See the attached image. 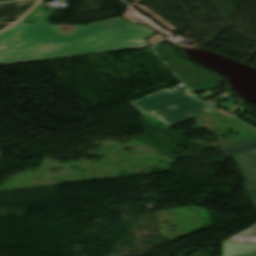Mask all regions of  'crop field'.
<instances>
[{
    "label": "crop field",
    "instance_id": "obj_1",
    "mask_svg": "<svg viewBox=\"0 0 256 256\" xmlns=\"http://www.w3.org/2000/svg\"><path fill=\"white\" fill-rule=\"evenodd\" d=\"M152 34L122 18L88 26L20 22L0 34V66L146 47Z\"/></svg>",
    "mask_w": 256,
    "mask_h": 256
},
{
    "label": "crop field",
    "instance_id": "obj_2",
    "mask_svg": "<svg viewBox=\"0 0 256 256\" xmlns=\"http://www.w3.org/2000/svg\"><path fill=\"white\" fill-rule=\"evenodd\" d=\"M129 105L143 116L151 114L169 127L191 119V114L202 109L208 112L216 109L192 96L187 89L171 92L168 88Z\"/></svg>",
    "mask_w": 256,
    "mask_h": 256
},
{
    "label": "crop field",
    "instance_id": "obj_3",
    "mask_svg": "<svg viewBox=\"0 0 256 256\" xmlns=\"http://www.w3.org/2000/svg\"><path fill=\"white\" fill-rule=\"evenodd\" d=\"M234 160L247 181L243 187L256 208V151L234 157Z\"/></svg>",
    "mask_w": 256,
    "mask_h": 256
},
{
    "label": "crop field",
    "instance_id": "obj_4",
    "mask_svg": "<svg viewBox=\"0 0 256 256\" xmlns=\"http://www.w3.org/2000/svg\"><path fill=\"white\" fill-rule=\"evenodd\" d=\"M37 0L0 4V21L20 18Z\"/></svg>",
    "mask_w": 256,
    "mask_h": 256
},
{
    "label": "crop field",
    "instance_id": "obj_5",
    "mask_svg": "<svg viewBox=\"0 0 256 256\" xmlns=\"http://www.w3.org/2000/svg\"><path fill=\"white\" fill-rule=\"evenodd\" d=\"M223 255L222 256H236L242 253H246L256 249V246L238 244V243H225L222 244Z\"/></svg>",
    "mask_w": 256,
    "mask_h": 256
},
{
    "label": "crop field",
    "instance_id": "obj_6",
    "mask_svg": "<svg viewBox=\"0 0 256 256\" xmlns=\"http://www.w3.org/2000/svg\"><path fill=\"white\" fill-rule=\"evenodd\" d=\"M248 240L253 242V245H256V224L238 233L237 235L227 239L226 241H238L245 243Z\"/></svg>",
    "mask_w": 256,
    "mask_h": 256
},
{
    "label": "crop field",
    "instance_id": "obj_7",
    "mask_svg": "<svg viewBox=\"0 0 256 256\" xmlns=\"http://www.w3.org/2000/svg\"><path fill=\"white\" fill-rule=\"evenodd\" d=\"M253 149H256V141H252V142H249V143H245V144H241V145L221 149L220 151L227 158H229V157H232V156H235L237 154H240V153H243V152H246V151H249V150H253Z\"/></svg>",
    "mask_w": 256,
    "mask_h": 256
},
{
    "label": "crop field",
    "instance_id": "obj_8",
    "mask_svg": "<svg viewBox=\"0 0 256 256\" xmlns=\"http://www.w3.org/2000/svg\"><path fill=\"white\" fill-rule=\"evenodd\" d=\"M42 5H39L35 10H33L30 14L33 16L28 19L26 22L29 23H36V22H43L45 23L52 15L53 13L51 11H48L46 13L40 11L42 8Z\"/></svg>",
    "mask_w": 256,
    "mask_h": 256
},
{
    "label": "crop field",
    "instance_id": "obj_9",
    "mask_svg": "<svg viewBox=\"0 0 256 256\" xmlns=\"http://www.w3.org/2000/svg\"><path fill=\"white\" fill-rule=\"evenodd\" d=\"M239 256H256V250Z\"/></svg>",
    "mask_w": 256,
    "mask_h": 256
},
{
    "label": "crop field",
    "instance_id": "obj_10",
    "mask_svg": "<svg viewBox=\"0 0 256 256\" xmlns=\"http://www.w3.org/2000/svg\"><path fill=\"white\" fill-rule=\"evenodd\" d=\"M8 25H10V24H0V30H2L3 28H5Z\"/></svg>",
    "mask_w": 256,
    "mask_h": 256
},
{
    "label": "crop field",
    "instance_id": "obj_11",
    "mask_svg": "<svg viewBox=\"0 0 256 256\" xmlns=\"http://www.w3.org/2000/svg\"><path fill=\"white\" fill-rule=\"evenodd\" d=\"M31 17V15L30 14H28L24 19H23V21H26L28 18H30Z\"/></svg>",
    "mask_w": 256,
    "mask_h": 256
},
{
    "label": "crop field",
    "instance_id": "obj_12",
    "mask_svg": "<svg viewBox=\"0 0 256 256\" xmlns=\"http://www.w3.org/2000/svg\"><path fill=\"white\" fill-rule=\"evenodd\" d=\"M3 1H9V0H0V2H3Z\"/></svg>",
    "mask_w": 256,
    "mask_h": 256
}]
</instances>
